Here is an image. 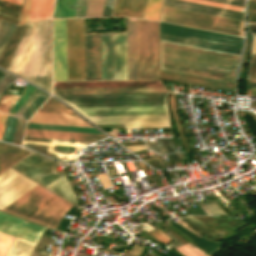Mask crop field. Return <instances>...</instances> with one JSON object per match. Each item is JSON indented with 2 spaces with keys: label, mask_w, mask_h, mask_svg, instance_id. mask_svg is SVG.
Instances as JSON below:
<instances>
[{
  "label": "crop field",
  "mask_w": 256,
  "mask_h": 256,
  "mask_svg": "<svg viewBox=\"0 0 256 256\" xmlns=\"http://www.w3.org/2000/svg\"><path fill=\"white\" fill-rule=\"evenodd\" d=\"M238 55L160 40V69L235 83Z\"/></svg>",
  "instance_id": "1"
},
{
  "label": "crop field",
  "mask_w": 256,
  "mask_h": 256,
  "mask_svg": "<svg viewBox=\"0 0 256 256\" xmlns=\"http://www.w3.org/2000/svg\"><path fill=\"white\" fill-rule=\"evenodd\" d=\"M7 70L51 92V20L27 25Z\"/></svg>",
  "instance_id": "2"
},
{
  "label": "crop field",
  "mask_w": 256,
  "mask_h": 256,
  "mask_svg": "<svg viewBox=\"0 0 256 256\" xmlns=\"http://www.w3.org/2000/svg\"><path fill=\"white\" fill-rule=\"evenodd\" d=\"M167 93L56 95L84 116L168 115Z\"/></svg>",
  "instance_id": "3"
},
{
  "label": "crop field",
  "mask_w": 256,
  "mask_h": 256,
  "mask_svg": "<svg viewBox=\"0 0 256 256\" xmlns=\"http://www.w3.org/2000/svg\"><path fill=\"white\" fill-rule=\"evenodd\" d=\"M45 190L37 185L3 211L55 229L72 204Z\"/></svg>",
  "instance_id": "4"
},
{
  "label": "crop field",
  "mask_w": 256,
  "mask_h": 256,
  "mask_svg": "<svg viewBox=\"0 0 256 256\" xmlns=\"http://www.w3.org/2000/svg\"><path fill=\"white\" fill-rule=\"evenodd\" d=\"M45 228L0 212V232L37 244ZM0 233V256H4L14 237ZM16 238L6 256H29L35 244Z\"/></svg>",
  "instance_id": "5"
},
{
  "label": "crop field",
  "mask_w": 256,
  "mask_h": 256,
  "mask_svg": "<svg viewBox=\"0 0 256 256\" xmlns=\"http://www.w3.org/2000/svg\"><path fill=\"white\" fill-rule=\"evenodd\" d=\"M137 79H158V22L137 19Z\"/></svg>",
  "instance_id": "6"
},
{
  "label": "crop field",
  "mask_w": 256,
  "mask_h": 256,
  "mask_svg": "<svg viewBox=\"0 0 256 256\" xmlns=\"http://www.w3.org/2000/svg\"><path fill=\"white\" fill-rule=\"evenodd\" d=\"M160 20L243 36L244 22L163 6Z\"/></svg>",
  "instance_id": "7"
},
{
  "label": "crop field",
  "mask_w": 256,
  "mask_h": 256,
  "mask_svg": "<svg viewBox=\"0 0 256 256\" xmlns=\"http://www.w3.org/2000/svg\"><path fill=\"white\" fill-rule=\"evenodd\" d=\"M102 80H127L126 34H101Z\"/></svg>",
  "instance_id": "8"
},
{
  "label": "crop field",
  "mask_w": 256,
  "mask_h": 256,
  "mask_svg": "<svg viewBox=\"0 0 256 256\" xmlns=\"http://www.w3.org/2000/svg\"><path fill=\"white\" fill-rule=\"evenodd\" d=\"M84 80V19H67V81Z\"/></svg>",
  "instance_id": "9"
},
{
  "label": "crop field",
  "mask_w": 256,
  "mask_h": 256,
  "mask_svg": "<svg viewBox=\"0 0 256 256\" xmlns=\"http://www.w3.org/2000/svg\"><path fill=\"white\" fill-rule=\"evenodd\" d=\"M55 165L56 162L48 161L31 153L13 166L12 169L48 189L64 177L56 173Z\"/></svg>",
  "instance_id": "10"
},
{
  "label": "crop field",
  "mask_w": 256,
  "mask_h": 256,
  "mask_svg": "<svg viewBox=\"0 0 256 256\" xmlns=\"http://www.w3.org/2000/svg\"><path fill=\"white\" fill-rule=\"evenodd\" d=\"M160 32L242 48L243 38L160 22Z\"/></svg>",
  "instance_id": "11"
},
{
  "label": "crop field",
  "mask_w": 256,
  "mask_h": 256,
  "mask_svg": "<svg viewBox=\"0 0 256 256\" xmlns=\"http://www.w3.org/2000/svg\"><path fill=\"white\" fill-rule=\"evenodd\" d=\"M35 183L9 169L0 175V210L8 206L28 190Z\"/></svg>",
  "instance_id": "12"
},
{
  "label": "crop field",
  "mask_w": 256,
  "mask_h": 256,
  "mask_svg": "<svg viewBox=\"0 0 256 256\" xmlns=\"http://www.w3.org/2000/svg\"><path fill=\"white\" fill-rule=\"evenodd\" d=\"M96 125L121 124L126 128H169L168 116L86 117Z\"/></svg>",
  "instance_id": "13"
},
{
  "label": "crop field",
  "mask_w": 256,
  "mask_h": 256,
  "mask_svg": "<svg viewBox=\"0 0 256 256\" xmlns=\"http://www.w3.org/2000/svg\"><path fill=\"white\" fill-rule=\"evenodd\" d=\"M54 81H66V19H53Z\"/></svg>",
  "instance_id": "14"
},
{
  "label": "crop field",
  "mask_w": 256,
  "mask_h": 256,
  "mask_svg": "<svg viewBox=\"0 0 256 256\" xmlns=\"http://www.w3.org/2000/svg\"><path fill=\"white\" fill-rule=\"evenodd\" d=\"M85 80H101L100 34H85Z\"/></svg>",
  "instance_id": "15"
},
{
  "label": "crop field",
  "mask_w": 256,
  "mask_h": 256,
  "mask_svg": "<svg viewBox=\"0 0 256 256\" xmlns=\"http://www.w3.org/2000/svg\"><path fill=\"white\" fill-rule=\"evenodd\" d=\"M160 78L202 86V87H207V88H212V89H217V90H222V91H227V92H232V93H234V88H235V84L233 83L216 81V80H211L206 78H200V77L178 74V73H173L168 71H162V70H160Z\"/></svg>",
  "instance_id": "16"
},
{
  "label": "crop field",
  "mask_w": 256,
  "mask_h": 256,
  "mask_svg": "<svg viewBox=\"0 0 256 256\" xmlns=\"http://www.w3.org/2000/svg\"><path fill=\"white\" fill-rule=\"evenodd\" d=\"M169 92L165 87L54 89V94Z\"/></svg>",
  "instance_id": "17"
},
{
  "label": "crop field",
  "mask_w": 256,
  "mask_h": 256,
  "mask_svg": "<svg viewBox=\"0 0 256 256\" xmlns=\"http://www.w3.org/2000/svg\"><path fill=\"white\" fill-rule=\"evenodd\" d=\"M24 136L45 137V138H53V139L75 140V141H86V142H93L105 137L103 135H96V134L70 133V132L32 130V129H26Z\"/></svg>",
  "instance_id": "18"
},
{
  "label": "crop field",
  "mask_w": 256,
  "mask_h": 256,
  "mask_svg": "<svg viewBox=\"0 0 256 256\" xmlns=\"http://www.w3.org/2000/svg\"><path fill=\"white\" fill-rule=\"evenodd\" d=\"M163 86L160 81L54 83V88Z\"/></svg>",
  "instance_id": "19"
},
{
  "label": "crop field",
  "mask_w": 256,
  "mask_h": 256,
  "mask_svg": "<svg viewBox=\"0 0 256 256\" xmlns=\"http://www.w3.org/2000/svg\"><path fill=\"white\" fill-rule=\"evenodd\" d=\"M146 0H115L112 16L143 18Z\"/></svg>",
  "instance_id": "20"
},
{
  "label": "crop field",
  "mask_w": 256,
  "mask_h": 256,
  "mask_svg": "<svg viewBox=\"0 0 256 256\" xmlns=\"http://www.w3.org/2000/svg\"><path fill=\"white\" fill-rule=\"evenodd\" d=\"M79 118L70 115L36 113L29 122L91 127Z\"/></svg>",
  "instance_id": "21"
},
{
  "label": "crop field",
  "mask_w": 256,
  "mask_h": 256,
  "mask_svg": "<svg viewBox=\"0 0 256 256\" xmlns=\"http://www.w3.org/2000/svg\"><path fill=\"white\" fill-rule=\"evenodd\" d=\"M160 39L240 55L241 49L160 33Z\"/></svg>",
  "instance_id": "22"
},
{
  "label": "crop field",
  "mask_w": 256,
  "mask_h": 256,
  "mask_svg": "<svg viewBox=\"0 0 256 256\" xmlns=\"http://www.w3.org/2000/svg\"><path fill=\"white\" fill-rule=\"evenodd\" d=\"M28 153L30 152L25 149L0 143V173L19 161Z\"/></svg>",
  "instance_id": "23"
},
{
  "label": "crop field",
  "mask_w": 256,
  "mask_h": 256,
  "mask_svg": "<svg viewBox=\"0 0 256 256\" xmlns=\"http://www.w3.org/2000/svg\"><path fill=\"white\" fill-rule=\"evenodd\" d=\"M128 80L136 79V21L127 20Z\"/></svg>",
  "instance_id": "24"
},
{
  "label": "crop field",
  "mask_w": 256,
  "mask_h": 256,
  "mask_svg": "<svg viewBox=\"0 0 256 256\" xmlns=\"http://www.w3.org/2000/svg\"><path fill=\"white\" fill-rule=\"evenodd\" d=\"M53 4L54 0H32L27 23L51 18Z\"/></svg>",
  "instance_id": "25"
},
{
  "label": "crop field",
  "mask_w": 256,
  "mask_h": 256,
  "mask_svg": "<svg viewBox=\"0 0 256 256\" xmlns=\"http://www.w3.org/2000/svg\"><path fill=\"white\" fill-rule=\"evenodd\" d=\"M47 96H49V95L46 94L45 92L37 89L34 92V94L26 101V103L18 110V112L15 114V116L20 117V118L26 120L31 115V113L42 103V101Z\"/></svg>",
  "instance_id": "26"
},
{
  "label": "crop field",
  "mask_w": 256,
  "mask_h": 256,
  "mask_svg": "<svg viewBox=\"0 0 256 256\" xmlns=\"http://www.w3.org/2000/svg\"><path fill=\"white\" fill-rule=\"evenodd\" d=\"M26 25L27 24L18 26L13 36L11 37L10 41L8 42L6 48L4 49L3 53L0 56L1 67L5 69L7 68Z\"/></svg>",
  "instance_id": "27"
},
{
  "label": "crop field",
  "mask_w": 256,
  "mask_h": 256,
  "mask_svg": "<svg viewBox=\"0 0 256 256\" xmlns=\"http://www.w3.org/2000/svg\"><path fill=\"white\" fill-rule=\"evenodd\" d=\"M26 128L101 134L94 128L28 123Z\"/></svg>",
  "instance_id": "28"
},
{
  "label": "crop field",
  "mask_w": 256,
  "mask_h": 256,
  "mask_svg": "<svg viewBox=\"0 0 256 256\" xmlns=\"http://www.w3.org/2000/svg\"><path fill=\"white\" fill-rule=\"evenodd\" d=\"M77 0H56L53 17H74Z\"/></svg>",
  "instance_id": "29"
},
{
  "label": "crop field",
  "mask_w": 256,
  "mask_h": 256,
  "mask_svg": "<svg viewBox=\"0 0 256 256\" xmlns=\"http://www.w3.org/2000/svg\"><path fill=\"white\" fill-rule=\"evenodd\" d=\"M179 219H181L182 221L187 223L189 226H191L192 228H194L202 233H205V234H208V235H211L214 237H218V238H220L222 235V232H219V231L213 229L212 227L201 223L200 221H198L197 219H195L192 216H187V217H183V218H179Z\"/></svg>",
  "instance_id": "30"
},
{
  "label": "crop field",
  "mask_w": 256,
  "mask_h": 256,
  "mask_svg": "<svg viewBox=\"0 0 256 256\" xmlns=\"http://www.w3.org/2000/svg\"><path fill=\"white\" fill-rule=\"evenodd\" d=\"M38 112L76 115L52 97L47 100V102L42 106V108Z\"/></svg>",
  "instance_id": "31"
},
{
  "label": "crop field",
  "mask_w": 256,
  "mask_h": 256,
  "mask_svg": "<svg viewBox=\"0 0 256 256\" xmlns=\"http://www.w3.org/2000/svg\"><path fill=\"white\" fill-rule=\"evenodd\" d=\"M161 1L162 0H147L144 18L158 20Z\"/></svg>",
  "instance_id": "32"
},
{
  "label": "crop field",
  "mask_w": 256,
  "mask_h": 256,
  "mask_svg": "<svg viewBox=\"0 0 256 256\" xmlns=\"http://www.w3.org/2000/svg\"><path fill=\"white\" fill-rule=\"evenodd\" d=\"M15 27L16 26L13 24L5 23L0 20V51L14 31Z\"/></svg>",
  "instance_id": "33"
},
{
  "label": "crop field",
  "mask_w": 256,
  "mask_h": 256,
  "mask_svg": "<svg viewBox=\"0 0 256 256\" xmlns=\"http://www.w3.org/2000/svg\"><path fill=\"white\" fill-rule=\"evenodd\" d=\"M18 95H5L0 97V111L7 113L19 100Z\"/></svg>",
  "instance_id": "34"
},
{
  "label": "crop field",
  "mask_w": 256,
  "mask_h": 256,
  "mask_svg": "<svg viewBox=\"0 0 256 256\" xmlns=\"http://www.w3.org/2000/svg\"><path fill=\"white\" fill-rule=\"evenodd\" d=\"M104 0H89L86 17L101 16Z\"/></svg>",
  "instance_id": "35"
},
{
  "label": "crop field",
  "mask_w": 256,
  "mask_h": 256,
  "mask_svg": "<svg viewBox=\"0 0 256 256\" xmlns=\"http://www.w3.org/2000/svg\"><path fill=\"white\" fill-rule=\"evenodd\" d=\"M16 121H17L16 118H12L8 116L2 140L8 141V142L12 141Z\"/></svg>",
  "instance_id": "36"
},
{
  "label": "crop field",
  "mask_w": 256,
  "mask_h": 256,
  "mask_svg": "<svg viewBox=\"0 0 256 256\" xmlns=\"http://www.w3.org/2000/svg\"><path fill=\"white\" fill-rule=\"evenodd\" d=\"M25 122L18 119L12 143L20 145Z\"/></svg>",
  "instance_id": "37"
},
{
  "label": "crop field",
  "mask_w": 256,
  "mask_h": 256,
  "mask_svg": "<svg viewBox=\"0 0 256 256\" xmlns=\"http://www.w3.org/2000/svg\"><path fill=\"white\" fill-rule=\"evenodd\" d=\"M187 1H192V2H197V3H202V4H207V5H212V6H217V7H222V8H227V9H232V10H237V11L244 12V8L237 7V6H231V5H226V4L216 3V2H210V1H205V0H187Z\"/></svg>",
  "instance_id": "38"
},
{
  "label": "crop field",
  "mask_w": 256,
  "mask_h": 256,
  "mask_svg": "<svg viewBox=\"0 0 256 256\" xmlns=\"http://www.w3.org/2000/svg\"><path fill=\"white\" fill-rule=\"evenodd\" d=\"M87 5H88V0H78L75 17H85Z\"/></svg>",
  "instance_id": "39"
},
{
  "label": "crop field",
  "mask_w": 256,
  "mask_h": 256,
  "mask_svg": "<svg viewBox=\"0 0 256 256\" xmlns=\"http://www.w3.org/2000/svg\"><path fill=\"white\" fill-rule=\"evenodd\" d=\"M248 82H256V54H252Z\"/></svg>",
  "instance_id": "40"
},
{
  "label": "crop field",
  "mask_w": 256,
  "mask_h": 256,
  "mask_svg": "<svg viewBox=\"0 0 256 256\" xmlns=\"http://www.w3.org/2000/svg\"><path fill=\"white\" fill-rule=\"evenodd\" d=\"M30 2L31 0H24L19 24L26 23Z\"/></svg>",
  "instance_id": "41"
},
{
  "label": "crop field",
  "mask_w": 256,
  "mask_h": 256,
  "mask_svg": "<svg viewBox=\"0 0 256 256\" xmlns=\"http://www.w3.org/2000/svg\"><path fill=\"white\" fill-rule=\"evenodd\" d=\"M16 77L6 74L5 77L0 81V95L2 92L11 84Z\"/></svg>",
  "instance_id": "42"
},
{
  "label": "crop field",
  "mask_w": 256,
  "mask_h": 256,
  "mask_svg": "<svg viewBox=\"0 0 256 256\" xmlns=\"http://www.w3.org/2000/svg\"><path fill=\"white\" fill-rule=\"evenodd\" d=\"M249 22H256V0H250Z\"/></svg>",
  "instance_id": "43"
},
{
  "label": "crop field",
  "mask_w": 256,
  "mask_h": 256,
  "mask_svg": "<svg viewBox=\"0 0 256 256\" xmlns=\"http://www.w3.org/2000/svg\"><path fill=\"white\" fill-rule=\"evenodd\" d=\"M0 14L11 17V18H14V19H17V20H18V17H19L18 13L7 10V9L1 7V6H0Z\"/></svg>",
  "instance_id": "44"
},
{
  "label": "crop field",
  "mask_w": 256,
  "mask_h": 256,
  "mask_svg": "<svg viewBox=\"0 0 256 256\" xmlns=\"http://www.w3.org/2000/svg\"><path fill=\"white\" fill-rule=\"evenodd\" d=\"M155 237H157L159 240H161L163 243L167 244L168 242L172 241L171 239H169L165 234H163L160 230H157L153 233Z\"/></svg>",
  "instance_id": "45"
},
{
  "label": "crop field",
  "mask_w": 256,
  "mask_h": 256,
  "mask_svg": "<svg viewBox=\"0 0 256 256\" xmlns=\"http://www.w3.org/2000/svg\"><path fill=\"white\" fill-rule=\"evenodd\" d=\"M6 115L0 114V140L2 138L5 122H6Z\"/></svg>",
  "instance_id": "46"
},
{
  "label": "crop field",
  "mask_w": 256,
  "mask_h": 256,
  "mask_svg": "<svg viewBox=\"0 0 256 256\" xmlns=\"http://www.w3.org/2000/svg\"><path fill=\"white\" fill-rule=\"evenodd\" d=\"M128 148L130 151L135 152V151H140V150H144L146 149L144 145H139V146H129L126 147Z\"/></svg>",
  "instance_id": "47"
},
{
  "label": "crop field",
  "mask_w": 256,
  "mask_h": 256,
  "mask_svg": "<svg viewBox=\"0 0 256 256\" xmlns=\"http://www.w3.org/2000/svg\"><path fill=\"white\" fill-rule=\"evenodd\" d=\"M24 140L51 142L52 139H41V138H29V137H25Z\"/></svg>",
  "instance_id": "48"
},
{
  "label": "crop field",
  "mask_w": 256,
  "mask_h": 256,
  "mask_svg": "<svg viewBox=\"0 0 256 256\" xmlns=\"http://www.w3.org/2000/svg\"><path fill=\"white\" fill-rule=\"evenodd\" d=\"M1 1L18 4V5H21V2H22V0H1Z\"/></svg>",
  "instance_id": "49"
},
{
  "label": "crop field",
  "mask_w": 256,
  "mask_h": 256,
  "mask_svg": "<svg viewBox=\"0 0 256 256\" xmlns=\"http://www.w3.org/2000/svg\"><path fill=\"white\" fill-rule=\"evenodd\" d=\"M250 33H256V24H249Z\"/></svg>",
  "instance_id": "50"
},
{
  "label": "crop field",
  "mask_w": 256,
  "mask_h": 256,
  "mask_svg": "<svg viewBox=\"0 0 256 256\" xmlns=\"http://www.w3.org/2000/svg\"><path fill=\"white\" fill-rule=\"evenodd\" d=\"M254 36V42H253V50L252 53H256V34H252Z\"/></svg>",
  "instance_id": "51"
},
{
  "label": "crop field",
  "mask_w": 256,
  "mask_h": 256,
  "mask_svg": "<svg viewBox=\"0 0 256 256\" xmlns=\"http://www.w3.org/2000/svg\"><path fill=\"white\" fill-rule=\"evenodd\" d=\"M138 164H139V166L141 167V169H142L143 173H146V171H145V167H144V164H143V163H141V162H138ZM146 174H147V173H146Z\"/></svg>",
  "instance_id": "52"
},
{
  "label": "crop field",
  "mask_w": 256,
  "mask_h": 256,
  "mask_svg": "<svg viewBox=\"0 0 256 256\" xmlns=\"http://www.w3.org/2000/svg\"><path fill=\"white\" fill-rule=\"evenodd\" d=\"M125 256H131V255L126 254Z\"/></svg>",
  "instance_id": "53"
}]
</instances>
